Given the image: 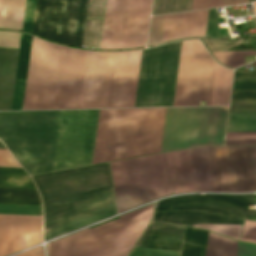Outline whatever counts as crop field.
<instances>
[{"mask_svg":"<svg viewBox=\"0 0 256 256\" xmlns=\"http://www.w3.org/2000/svg\"><path fill=\"white\" fill-rule=\"evenodd\" d=\"M44 207V240L117 213L108 164L32 176Z\"/></svg>","mask_w":256,"mask_h":256,"instance_id":"obj_1","label":"crop field"},{"mask_svg":"<svg viewBox=\"0 0 256 256\" xmlns=\"http://www.w3.org/2000/svg\"><path fill=\"white\" fill-rule=\"evenodd\" d=\"M165 111L100 110L92 164L159 153Z\"/></svg>","mask_w":256,"mask_h":256,"instance_id":"obj_2","label":"crop field"},{"mask_svg":"<svg viewBox=\"0 0 256 256\" xmlns=\"http://www.w3.org/2000/svg\"><path fill=\"white\" fill-rule=\"evenodd\" d=\"M252 195H187L158 202L153 222L185 226L205 224L242 225L243 218H256V211L246 209ZM196 226L239 239L241 226Z\"/></svg>","mask_w":256,"mask_h":256,"instance_id":"obj_3","label":"crop field"},{"mask_svg":"<svg viewBox=\"0 0 256 256\" xmlns=\"http://www.w3.org/2000/svg\"><path fill=\"white\" fill-rule=\"evenodd\" d=\"M59 114L0 112V139L31 175L52 171Z\"/></svg>","mask_w":256,"mask_h":256,"instance_id":"obj_4","label":"crop field"},{"mask_svg":"<svg viewBox=\"0 0 256 256\" xmlns=\"http://www.w3.org/2000/svg\"><path fill=\"white\" fill-rule=\"evenodd\" d=\"M208 149L216 192L256 191V146ZM208 149H191L199 192H215Z\"/></svg>","mask_w":256,"mask_h":256,"instance_id":"obj_5","label":"crop field"},{"mask_svg":"<svg viewBox=\"0 0 256 256\" xmlns=\"http://www.w3.org/2000/svg\"><path fill=\"white\" fill-rule=\"evenodd\" d=\"M151 210L152 206L51 243L50 256H124Z\"/></svg>","mask_w":256,"mask_h":256,"instance_id":"obj_6","label":"crop field"},{"mask_svg":"<svg viewBox=\"0 0 256 256\" xmlns=\"http://www.w3.org/2000/svg\"><path fill=\"white\" fill-rule=\"evenodd\" d=\"M118 213L171 195L165 154L110 163Z\"/></svg>","mask_w":256,"mask_h":256,"instance_id":"obj_7","label":"crop field"},{"mask_svg":"<svg viewBox=\"0 0 256 256\" xmlns=\"http://www.w3.org/2000/svg\"><path fill=\"white\" fill-rule=\"evenodd\" d=\"M228 109L167 108L161 150L223 145Z\"/></svg>","mask_w":256,"mask_h":256,"instance_id":"obj_8","label":"crop field"},{"mask_svg":"<svg viewBox=\"0 0 256 256\" xmlns=\"http://www.w3.org/2000/svg\"><path fill=\"white\" fill-rule=\"evenodd\" d=\"M180 45L143 50L135 107L172 106Z\"/></svg>","mask_w":256,"mask_h":256,"instance_id":"obj_9","label":"crop field"},{"mask_svg":"<svg viewBox=\"0 0 256 256\" xmlns=\"http://www.w3.org/2000/svg\"><path fill=\"white\" fill-rule=\"evenodd\" d=\"M98 113L61 111L53 171L91 164Z\"/></svg>","mask_w":256,"mask_h":256,"instance_id":"obj_10","label":"crop field"},{"mask_svg":"<svg viewBox=\"0 0 256 256\" xmlns=\"http://www.w3.org/2000/svg\"><path fill=\"white\" fill-rule=\"evenodd\" d=\"M152 0H130L123 49L144 47ZM128 0H107L100 49H121Z\"/></svg>","mask_w":256,"mask_h":256,"instance_id":"obj_11","label":"crop field"},{"mask_svg":"<svg viewBox=\"0 0 256 256\" xmlns=\"http://www.w3.org/2000/svg\"><path fill=\"white\" fill-rule=\"evenodd\" d=\"M87 0H37L33 33L81 47Z\"/></svg>","mask_w":256,"mask_h":256,"instance_id":"obj_12","label":"crop field"},{"mask_svg":"<svg viewBox=\"0 0 256 256\" xmlns=\"http://www.w3.org/2000/svg\"><path fill=\"white\" fill-rule=\"evenodd\" d=\"M211 62L201 42H182L173 106H198L205 101Z\"/></svg>","mask_w":256,"mask_h":256,"instance_id":"obj_13","label":"crop field"},{"mask_svg":"<svg viewBox=\"0 0 256 256\" xmlns=\"http://www.w3.org/2000/svg\"><path fill=\"white\" fill-rule=\"evenodd\" d=\"M59 49L33 40L23 108H51Z\"/></svg>","mask_w":256,"mask_h":256,"instance_id":"obj_14","label":"crop field"},{"mask_svg":"<svg viewBox=\"0 0 256 256\" xmlns=\"http://www.w3.org/2000/svg\"><path fill=\"white\" fill-rule=\"evenodd\" d=\"M86 55L61 46L52 109H79Z\"/></svg>","mask_w":256,"mask_h":256,"instance_id":"obj_15","label":"crop field"},{"mask_svg":"<svg viewBox=\"0 0 256 256\" xmlns=\"http://www.w3.org/2000/svg\"><path fill=\"white\" fill-rule=\"evenodd\" d=\"M114 56L88 52L80 109L107 108Z\"/></svg>","mask_w":256,"mask_h":256,"instance_id":"obj_16","label":"crop field"},{"mask_svg":"<svg viewBox=\"0 0 256 256\" xmlns=\"http://www.w3.org/2000/svg\"><path fill=\"white\" fill-rule=\"evenodd\" d=\"M141 54L116 53L108 108L134 107Z\"/></svg>","mask_w":256,"mask_h":256,"instance_id":"obj_17","label":"crop field"},{"mask_svg":"<svg viewBox=\"0 0 256 256\" xmlns=\"http://www.w3.org/2000/svg\"><path fill=\"white\" fill-rule=\"evenodd\" d=\"M41 217L0 215V256L42 242Z\"/></svg>","mask_w":256,"mask_h":256,"instance_id":"obj_18","label":"crop field"},{"mask_svg":"<svg viewBox=\"0 0 256 256\" xmlns=\"http://www.w3.org/2000/svg\"><path fill=\"white\" fill-rule=\"evenodd\" d=\"M204 11H196V12H188V13H180V14H172V15H164V16H156L152 17L148 44L147 47L165 43L168 39L182 37L186 35H204L206 20H207V12ZM207 12V13H201ZM193 13H201V14H193ZM185 14H193V15H185ZM177 15H185V16H177ZM169 16H177V17H169ZM164 17L165 18V38L164 37ZM194 37H204V36H186L177 39H185V38H194ZM172 39V40H177ZM169 40V41H172Z\"/></svg>","mask_w":256,"mask_h":256,"instance_id":"obj_19","label":"crop field"},{"mask_svg":"<svg viewBox=\"0 0 256 256\" xmlns=\"http://www.w3.org/2000/svg\"><path fill=\"white\" fill-rule=\"evenodd\" d=\"M21 34L0 32V46L18 48ZM18 51L0 48V110H10Z\"/></svg>","mask_w":256,"mask_h":256,"instance_id":"obj_20","label":"crop field"},{"mask_svg":"<svg viewBox=\"0 0 256 256\" xmlns=\"http://www.w3.org/2000/svg\"><path fill=\"white\" fill-rule=\"evenodd\" d=\"M166 156L173 192H198L190 149L168 153Z\"/></svg>","mask_w":256,"mask_h":256,"instance_id":"obj_21","label":"crop field"},{"mask_svg":"<svg viewBox=\"0 0 256 256\" xmlns=\"http://www.w3.org/2000/svg\"><path fill=\"white\" fill-rule=\"evenodd\" d=\"M152 230L162 231V232H169L175 234H183L184 227L180 226H171V225H163V224H153L149 227L147 232L144 234L140 242L137 246H140L144 243L148 235L151 233ZM152 231L149 235L145 243L142 247H149V248H158V249H167V250H176L180 251L182 237L183 235H175L169 233H162Z\"/></svg>","mask_w":256,"mask_h":256,"instance_id":"obj_22","label":"crop field"},{"mask_svg":"<svg viewBox=\"0 0 256 256\" xmlns=\"http://www.w3.org/2000/svg\"><path fill=\"white\" fill-rule=\"evenodd\" d=\"M106 0H88L82 47L99 49Z\"/></svg>","mask_w":256,"mask_h":256,"instance_id":"obj_23","label":"crop field"},{"mask_svg":"<svg viewBox=\"0 0 256 256\" xmlns=\"http://www.w3.org/2000/svg\"><path fill=\"white\" fill-rule=\"evenodd\" d=\"M32 36L22 34L11 110H21Z\"/></svg>","mask_w":256,"mask_h":256,"instance_id":"obj_24","label":"crop field"},{"mask_svg":"<svg viewBox=\"0 0 256 256\" xmlns=\"http://www.w3.org/2000/svg\"><path fill=\"white\" fill-rule=\"evenodd\" d=\"M233 71L217 64L210 106L228 105Z\"/></svg>","mask_w":256,"mask_h":256,"instance_id":"obj_25","label":"crop field"},{"mask_svg":"<svg viewBox=\"0 0 256 256\" xmlns=\"http://www.w3.org/2000/svg\"><path fill=\"white\" fill-rule=\"evenodd\" d=\"M24 7L25 0H3L0 27L21 30Z\"/></svg>","mask_w":256,"mask_h":256,"instance_id":"obj_26","label":"crop field"},{"mask_svg":"<svg viewBox=\"0 0 256 256\" xmlns=\"http://www.w3.org/2000/svg\"><path fill=\"white\" fill-rule=\"evenodd\" d=\"M0 188L35 189L23 168H1Z\"/></svg>","mask_w":256,"mask_h":256,"instance_id":"obj_27","label":"crop field"},{"mask_svg":"<svg viewBox=\"0 0 256 256\" xmlns=\"http://www.w3.org/2000/svg\"><path fill=\"white\" fill-rule=\"evenodd\" d=\"M208 233L186 228L182 256H205Z\"/></svg>","mask_w":256,"mask_h":256,"instance_id":"obj_28","label":"crop field"},{"mask_svg":"<svg viewBox=\"0 0 256 256\" xmlns=\"http://www.w3.org/2000/svg\"><path fill=\"white\" fill-rule=\"evenodd\" d=\"M0 203L41 205L36 190L0 189Z\"/></svg>","mask_w":256,"mask_h":256,"instance_id":"obj_29","label":"crop field"},{"mask_svg":"<svg viewBox=\"0 0 256 256\" xmlns=\"http://www.w3.org/2000/svg\"><path fill=\"white\" fill-rule=\"evenodd\" d=\"M237 242L209 233L206 256H235Z\"/></svg>","mask_w":256,"mask_h":256,"instance_id":"obj_30","label":"crop field"},{"mask_svg":"<svg viewBox=\"0 0 256 256\" xmlns=\"http://www.w3.org/2000/svg\"><path fill=\"white\" fill-rule=\"evenodd\" d=\"M227 132H256V113H229Z\"/></svg>","mask_w":256,"mask_h":256,"instance_id":"obj_31","label":"crop field"},{"mask_svg":"<svg viewBox=\"0 0 256 256\" xmlns=\"http://www.w3.org/2000/svg\"><path fill=\"white\" fill-rule=\"evenodd\" d=\"M192 0H154L152 15L191 10Z\"/></svg>","mask_w":256,"mask_h":256,"instance_id":"obj_32","label":"crop field"},{"mask_svg":"<svg viewBox=\"0 0 256 256\" xmlns=\"http://www.w3.org/2000/svg\"><path fill=\"white\" fill-rule=\"evenodd\" d=\"M215 59L219 61V63L235 68L245 64L244 56L256 55V52L253 51H236V52H220L213 53Z\"/></svg>","mask_w":256,"mask_h":256,"instance_id":"obj_33","label":"crop field"},{"mask_svg":"<svg viewBox=\"0 0 256 256\" xmlns=\"http://www.w3.org/2000/svg\"><path fill=\"white\" fill-rule=\"evenodd\" d=\"M256 91V74L236 72L232 92Z\"/></svg>","mask_w":256,"mask_h":256,"instance_id":"obj_34","label":"crop field"},{"mask_svg":"<svg viewBox=\"0 0 256 256\" xmlns=\"http://www.w3.org/2000/svg\"><path fill=\"white\" fill-rule=\"evenodd\" d=\"M0 213L41 215V206L0 204Z\"/></svg>","mask_w":256,"mask_h":256,"instance_id":"obj_35","label":"crop field"},{"mask_svg":"<svg viewBox=\"0 0 256 256\" xmlns=\"http://www.w3.org/2000/svg\"><path fill=\"white\" fill-rule=\"evenodd\" d=\"M225 145H256V133H227Z\"/></svg>","mask_w":256,"mask_h":256,"instance_id":"obj_36","label":"crop field"},{"mask_svg":"<svg viewBox=\"0 0 256 256\" xmlns=\"http://www.w3.org/2000/svg\"><path fill=\"white\" fill-rule=\"evenodd\" d=\"M35 7H36V0H26L22 30L32 32Z\"/></svg>","mask_w":256,"mask_h":256,"instance_id":"obj_37","label":"crop field"},{"mask_svg":"<svg viewBox=\"0 0 256 256\" xmlns=\"http://www.w3.org/2000/svg\"><path fill=\"white\" fill-rule=\"evenodd\" d=\"M205 37L222 38L215 9L209 10Z\"/></svg>","mask_w":256,"mask_h":256,"instance_id":"obj_38","label":"crop field"},{"mask_svg":"<svg viewBox=\"0 0 256 256\" xmlns=\"http://www.w3.org/2000/svg\"><path fill=\"white\" fill-rule=\"evenodd\" d=\"M130 256H180V252L135 247Z\"/></svg>","mask_w":256,"mask_h":256,"instance_id":"obj_39","label":"crop field"},{"mask_svg":"<svg viewBox=\"0 0 256 256\" xmlns=\"http://www.w3.org/2000/svg\"><path fill=\"white\" fill-rule=\"evenodd\" d=\"M211 52L228 51L230 48L241 44L240 41H218V40H203Z\"/></svg>","mask_w":256,"mask_h":256,"instance_id":"obj_40","label":"crop field"},{"mask_svg":"<svg viewBox=\"0 0 256 256\" xmlns=\"http://www.w3.org/2000/svg\"><path fill=\"white\" fill-rule=\"evenodd\" d=\"M229 112H256V100L231 101Z\"/></svg>","mask_w":256,"mask_h":256,"instance_id":"obj_41","label":"crop field"},{"mask_svg":"<svg viewBox=\"0 0 256 256\" xmlns=\"http://www.w3.org/2000/svg\"><path fill=\"white\" fill-rule=\"evenodd\" d=\"M240 240L256 242V222L245 221Z\"/></svg>","mask_w":256,"mask_h":256,"instance_id":"obj_42","label":"crop field"},{"mask_svg":"<svg viewBox=\"0 0 256 256\" xmlns=\"http://www.w3.org/2000/svg\"><path fill=\"white\" fill-rule=\"evenodd\" d=\"M236 256H256V246L238 243Z\"/></svg>","mask_w":256,"mask_h":256,"instance_id":"obj_43","label":"crop field"},{"mask_svg":"<svg viewBox=\"0 0 256 256\" xmlns=\"http://www.w3.org/2000/svg\"><path fill=\"white\" fill-rule=\"evenodd\" d=\"M222 0H193L192 10L221 6Z\"/></svg>","mask_w":256,"mask_h":256,"instance_id":"obj_44","label":"crop field"},{"mask_svg":"<svg viewBox=\"0 0 256 256\" xmlns=\"http://www.w3.org/2000/svg\"><path fill=\"white\" fill-rule=\"evenodd\" d=\"M2 158H3V150H0V166H2ZM3 166L21 167L7 150H4Z\"/></svg>","mask_w":256,"mask_h":256,"instance_id":"obj_45","label":"crop field"},{"mask_svg":"<svg viewBox=\"0 0 256 256\" xmlns=\"http://www.w3.org/2000/svg\"><path fill=\"white\" fill-rule=\"evenodd\" d=\"M256 99V92L252 93H232L231 100H249Z\"/></svg>","mask_w":256,"mask_h":256,"instance_id":"obj_46","label":"crop field"},{"mask_svg":"<svg viewBox=\"0 0 256 256\" xmlns=\"http://www.w3.org/2000/svg\"><path fill=\"white\" fill-rule=\"evenodd\" d=\"M215 66H216V63L213 60L212 68H211V74H210V80H209V86H208V92H207V98H206V106H209V103H210L212 84H213V78H214V72H215Z\"/></svg>","mask_w":256,"mask_h":256,"instance_id":"obj_47","label":"crop field"},{"mask_svg":"<svg viewBox=\"0 0 256 256\" xmlns=\"http://www.w3.org/2000/svg\"><path fill=\"white\" fill-rule=\"evenodd\" d=\"M16 256H44L42 247L34 248Z\"/></svg>","mask_w":256,"mask_h":256,"instance_id":"obj_48","label":"crop field"},{"mask_svg":"<svg viewBox=\"0 0 256 256\" xmlns=\"http://www.w3.org/2000/svg\"><path fill=\"white\" fill-rule=\"evenodd\" d=\"M248 3V0H223L222 6L244 4Z\"/></svg>","mask_w":256,"mask_h":256,"instance_id":"obj_49","label":"crop field"},{"mask_svg":"<svg viewBox=\"0 0 256 256\" xmlns=\"http://www.w3.org/2000/svg\"><path fill=\"white\" fill-rule=\"evenodd\" d=\"M0 149H5L1 143H0Z\"/></svg>","mask_w":256,"mask_h":256,"instance_id":"obj_50","label":"crop field"},{"mask_svg":"<svg viewBox=\"0 0 256 256\" xmlns=\"http://www.w3.org/2000/svg\"><path fill=\"white\" fill-rule=\"evenodd\" d=\"M253 5H254V8H255V12H256V2H255V3H253Z\"/></svg>","mask_w":256,"mask_h":256,"instance_id":"obj_51","label":"crop field"},{"mask_svg":"<svg viewBox=\"0 0 256 256\" xmlns=\"http://www.w3.org/2000/svg\"><path fill=\"white\" fill-rule=\"evenodd\" d=\"M252 1H255V0H249V3L252 2Z\"/></svg>","mask_w":256,"mask_h":256,"instance_id":"obj_52","label":"crop field"},{"mask_svg":"<svg viewBox=\"0 0 256 256\" xmlns=\"http://www.w3.org/2000/svg\"><path fill=\"white\" fill-rule=\"evenodd\" d=\"M1 1H2V0H0V7H1Z\"/></svg>","mask_w":256,"mask_h":256,"instance_id":"obj_53","label":"crop field"}]
</instances>
